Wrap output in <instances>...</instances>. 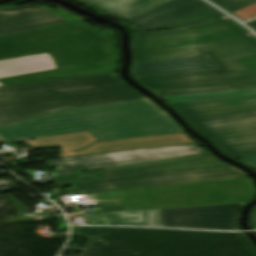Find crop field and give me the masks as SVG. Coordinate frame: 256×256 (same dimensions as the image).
<instances>
[{
  "instance_id": "obj_3",
  "label": "crop field",
  "mask_w": 256,
  "mask_h": 256,
  "mask_svg": "<svg viewBox=\"0 0 256 256\" xmlns=\"http://www.w3.org/2000/svg\"><path fill=\"white\" fill-rule=\"evenodd\" d=\"M158 109L148 100L70 108L2 125L0 138L10 141L89 130L104 141L181 132Z\"/></svg>"
},
{
  "instance_id": "obj_18",
  "label": "crop field",
  "mask_w": 256,
  "mask_h": 256,
  "mask_svg": "<svg viewBox=\"0 0 256 256\" xmlns=\"http://www.w3.org/2000/svg\"><path fill=\"white\" fill-rule=\"evenodd\" d=\"M213 1L217 2L220 6L224 7L225 9L231 12L256 2V0H213Z\"/></svg>"
},
{
  "instance_id": "obj_1",
  "label": "crop field",
  "mask_w": 256,
  "mask_h": 256,
  "mask_svg": "<svg viewBox=\"0 0 256 256\" xmlns=\"http://www.w3.org/2000/svg\"><path fill=\"white\" fill-rule=\"evenodd\" d=\"M232 19L134 34L135 61L205 55L217 70L140 77L153 90L256 81V37ZM256 88V82L155 91L160 97Z\"/></svg>"
},
{
  "instance_id": "obj_23",
  "label": "crop field",
  "mask_w": 256,
  "mask_h": 256,
  "mask_svg": "<svg viewBox=\"0 0 256 256\" xmlns=\"http://www.w3.org/2000/svg\"><path fill=\"white\" fill-rule=\"evenodd\" d=\"M252 221L254 226H256V210L252 211Z\"/></svg>"
},
{
  "instance_id": "obj_24",
  "label": "crop field",
  "mask_w": 256,
  "mask_h": 256,
  "mask_svg": "<svg viewBox=\"0 0 256 256\" xmlns=\"http://www.w3.org/2000/svg\"><path fill=\"white\" fill-rule=\"evenodd\" d=\"M248 24H250L253 28L256 29V20L250 21L248 22Z\"/></svg>"
},
{
  "instance_id": "obj_2",
  "label": "crop field",
  "mask_w": 256,
  "mask_h": 256,
  "mask_svg": "<svg viewBox=\"0 0 256 256\" xmlns=\"http://www.w3.org/2000/svg\"><path fill=\"white\" fill-rule=\"evenodd\" d=\"M115 44L81 21L1 37L0 87L115 73Z\"/></svg>"
},
{
  "instance_id": "obj_17",
  "label": "crop field",
  "mask_w": 256,
  "mask_h": 256,
  "mask_svg": "<svg viewBox=\"0 0 256 256\" xmlns=\"http://www.w3.org/2000/svg\"><path fill=\"white\" fill-rule=\"evenodd\" d=\"M247 94H256V89L198 94V95H187V96H177V97H167L164 99H166L168 102H176V101L217 98V97H227V96H237V95H247Z\"/></svg>"
},
{
  "instance_id": "obj_5",
  "label": "crop field",
  "mask_w": 256,
  "mask_h": 256,
  "mask_svg": "<svg viewBox=\"0 0 256 256\" xmlns=\"http://www.w3.org/2000/svg\"><path fill=\"white\" fill-rule=\"evenodd\" d=\"M227 164V163H226ZM209 154L94 171L55 179L57 187L73 190L56 195L84 194L134 188L196 183L247 177Z\"/></svg>"
},
{
  "instance_id": "obj_22",
  "label": "crop field",
  "mask_w": 256,
  "mask_h": 256,
  "mask_svg": "<svg viewBox=\"0 0 256 256\" xmlns=\"http://www.w3.org/2000/svg\"><path fill=\"white\" fill-rule=\"evenodd\" d=\"M45 162H46V164H47L48 167L56 166L55 163L53 162V160H49V161H45ZM56 167H57V166H56ZM54 175L56 176V178L62 176V174L60 173V171L58 170V168H57V171H56V173H55Z\"/></svg>"
},
{
  "instance_id": "obj_7",
  "label": "crop field",
  "mask_w": 256,
  "mask_h": 256,
  "mask_svg": "<svg viewBox=\"0 0 256 256\" xmlns=\"http://www.w3.org/2000/svg\"><path fill=\"white\" fill-rule=\"evenodd\" d=\"M172 104L229 156L256 154V95Z\"/></svg>"
},
{
  "instance_id": "obj_20",
  "label": "crop field",
  "mask_w": 256,
  "mask_h": 256,
  "mask_svg": "<svg viewBox=\"0 0 256 256\" xmlns=\"http://www.w3.org/2000/svg\"><path fill=\"white\" fill-rule=\"evenodd\" d=\"M145 212L148 226L161 227L158 209L145 210Z\"/></svg>"
},
{
  "instance_id": "obj_21",
  "label": "crop field",
  "mask_w": 256,
  "mask_h": 256,
  "mask_svg": "<svg viewBox=\"0 0 256 256\" xmlns=\"http://www.w3.org/2000/svg\"><path fill=\"white\" fill-rule=\"evenodd\" d=\"M240 161H242L256 169V156L240 159Z\"/></svg>"
},
{
  "instance_id": "obj_15",
  "label": "crop field",
  "mask_w": 256,
  "mask_h": 256,
  "mask_svg": "<svg viewBox=\"0 0 256 256\" xmlns=\"http://www.w3.org/2000/svg\"><path fill=\"white\" fill-rule=\"evenodd\" d=\"M109 13L128 19L170 0H85Z\"/></svg>"
},
{
  "instance_id": "obj_13",
  "label": "crop field",
  "mask_w": 256,
  "mask_h": 256,
  "mask_svg": "<svg viewBox=\"0 0 256 256\" xmlns=\"http://www.w3.org/2000/svg\"><path fill=\"white\" fill-rule=\"evenodd\" d=\"M67 22L37 5L0 9V36Z\"/></svg>"
},
{
  "instance_id": "obj_4",
  "label": "crop field",
  "mask_w": 256,
  "mask_h": 256,
  "mask_svg": "<svg viewBox=\"0 0 256 256\" xmlns=\"http://www.w3.org/2000/svg\"><path fill=\"white\" fill-rule=\"evenodd\" d=\"M91 239L81 256H256L243 233L137 228H77Z\"/></svg>"
},
{
  "instance_id": "obj_12",
  "label": "crop field",
  "mask_w": 256,
  "mask_h": 256,
  "mask_svg": "<svg viewBox=\"0 0 256 256\" xmlns=\"http://www.w3.org/2000/svg\"><path fill=\"white\" fill-rule=\"evenodd\" d=\"M239 204L159 209L162 227L237 230Z\"/></svg>"
},
{
  "instance_id": "obj_25",
  "label": "crop field",
  "mask_w": 256,
  "mask_h": 256,
  "mask_svg": "<svg viewBox=\"0 0 256 256\" xmlns=\"http://www.w3.org/2000/svg\"><path fill=\"white\" fill-rule=\"evenodd\" d=\"M256 209V208H255Z\"/></svg>"
},
{
  "instance_id": "obj_11",
  "label": "crop field",
  "mask_w": 256,
  "mask_h": 256,
  "mask_svg": "<svg viewBox=\"0 0 256 256\" xmlns=\"http://www.w3.org/2000/svg\"><path fill=\"white\" fill-rule=\"evenodd\" d=\"M223 16L200 0H172L134 18V31L159 30L193 24Z\"/></svg>"
},
{
  "instance_id": "obj_6",
  "label": "crop field",
  "mask_w": 256,
  "mask_h": 256,
  "mask_svg": "<svg viewBox=\"0 0 256 256\" xmlns=\"http://www.w3.org/2000/svg\"><path fill=\"white\" fill-rule=\"evenodd\" d=\"M125 84L118 74L0 88V125L69 107L146 99L130 86L76 90Z\"/></svg>"
},
{
  "instance_id": "obj_10",
  "label": "crop field",
  "mask_w": 256,
  "mask_h": 256,
  "mask_svg": "<svg viewBox=\"0 0 256 256\" xmlns=\"http://www.w3.org/2000/svg\"><path fill=\"white\" fill-rule=\"evenodd\" d=\"M205 153L207 152L202 147L195 144L189 146L115 153L88 157L56 159L54 160V162L58 166L63 176H66L74 173L80 167H86V169L92 171L101 168L108 169L126 165H133Z\"/></svg>"
},
{
  "instance_id": "obj_19",
  "label": "crop field",
  "mask_w": 256,
  "mask_h": 256,
  "mask_svg": "<svg viewBox=\"0 0 256 256\" xmlns=\"http://www.w3.org/2000/svg\"><path fill=\"white\" fill-rule=\"evenodd\" d=\"M233 15L237 16L238 18L248 21L256 17V3L240 9L238 11L233 12Z\"/></svg>"
},
{
  "instance_id": "obj_16",
  "label": "crop field",
  "mask_w": 256,
  "mask_h": 256,
  "mask_svg": "<svg viewBox=\"0 0 256 256\" xmlns=\"http://www.w3.org/2000/svg\"><path fill=\"white\" fill-rule=\"evenodd\" d=\"M89 225L147 226L144 210L88 214Z\"/></svg>"
},
{
  "instance_id": "obj_14",
  "label": "crop field",
  "mask_w": 256,
  "mask_h": 256,
  "mask_svg": "<svg viewBox=\"0 0 256 256\" xmlns=\"http://www.w3.org/2000/svg\"><path fill=\"white\" fill-rule=\"evenodd\" d=\"M214 66L205 56L134 63L135 77L210 70Z\"/></svg>"
},
{
  "instance_id": "obj_8",
  "label": "crop field",
  "mask_w": 256,
  "mask_h": 256,
  "mask_svg": "<svg viewBox=\"0 0 256 256\" xmlns=\"http://www.w3.org/2000/svg\"><path fill=\"white\" fill-rule=\"evenodd\" d=\"M89 195L95 206L121 204L125 210H135L247 202L256 190L246 178Z\"/></svg>"
},
{
  "instance_id": "obj_9",
  "label": "crop field",
  "mask_w": 256,
  "mask_h": 256,
  "mask_svg": "<svg viewBox=\"0 0 256 256\" xmlns=\"http://www.w3.org/2000/svg\"><path fill=\"white\" fill-rule=\"evenodd\" d=\"M31 148L60 145V158L125 152L197 143L185 133L99 142L89 131L24 140Z\"/></svg>"
}]
</instances>
